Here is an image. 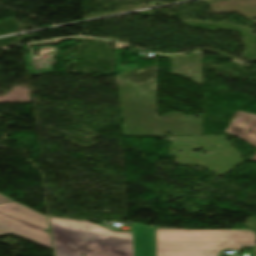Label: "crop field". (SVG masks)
I'll use <instances>...</instances> for the list:
<instances>
[{"label":"crop field","mask_w":256,"mask_h":256,"mask_svg":"<svg viewBox=\"0 0 256 256\" xmlns=\"http://www.w3.org/2000/svg\"><path fill=\"white\" fill-rule=\"evenodd\" d=\"M57 256H134L132 233L111 232L87 221L51 218Z\"/></svg>","instance_id":"crop-field-1"},{"label":"crop field","mask_w":256,"mask_h":256,"mask_svg":"<svg viewBox=\"0 0 256 256\" xmlns=\"http://www.w3.org/2000/svg\"><path fill=\"white\" fill-rule=\"evenodd\" d=\"M256 246L252 230L156 232L157 256H218L223 249Z\"/></svg>","instance_id":"crop-field-2"},{"label":"crop field","mask_w":256,"mask_h":256,"mask_svg":"<svg viewBox=\"0 0 256 256\" xmlns=\"http://www.w3.org/2000/svg\"><path fill=\"white\" fill-rule=\"evenodd\" d=\"M48 217L17 202L0 204V235L13 233L52 250Z\"/></svg>","instance_id":"crop-field-3"},{"label":"crop field","mask_w":256,"mask_h":256,"mask_svg":"<svg viewBox=\"0 0 256 256\" xmlns=\"http://www.w3.org/2000/svg\"><path fill=\"white\" fill-rule=\"evenodd\" d=\"M225 132L235 134L256 146V115L237 111ZM252 160L256 161V156Z\"/></svg>","instance_id":"crop-field-4"},{"label":"crop field","mask_w":256,"mask_h":256,"mask_svg":"<svg viewBox=\"0 0 256 256\" xmlns=\"http://www.w3.org/2000/svg\"><path fill=\"white\" fill-rule=\"evenodd\" d=\"M135 256H154L155 226L132 223Z\"/></svg>","instance_id":"crop-field-5"},{"label":"crop field","mask_w":256,"mask_h":256,"mask_svg":"<svg viewBox=\"0 0 256 256\" xmlns=\"http://www.w3.org/2000/svg\"><path fill=\"white\" fill-rule=\"evenodd\" d=\"M12 202V200L0 195V203Z\"/></svg>","instance_id":"crop-field-6"}]
</instances>
